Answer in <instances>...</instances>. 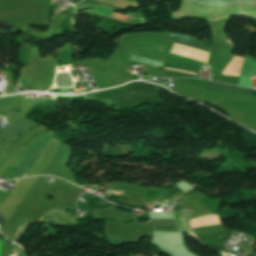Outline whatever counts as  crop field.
<instances>
[{
  "label": "crop field",
  "mask_w": 256,
  "mask_h": 256,
  "mask_svg": "<svg viewBox=\"0 0 256 256\" xmlns=\"http://www.w3.org/2000/svg\"><path fill=\"white\" fill-rule=\"evenodd\" d=\"M36 125L37 124L22 118L0 130V139L8 142H16L19 139V135Z\"/></svg>",
  "instance_id": "crop-field-1"
},
{
  "label": "crop field",
  "mask_w": 256,
  "mask_h": 256,
  "mask_svg": "<svg viewBox=\"0 0 256 256\" xmlns=\"http://www.w3.org/2000/svg\"><path fill=\"white\" fill-rule=\"evenodd\" d=\"M48 140L49 139L43 140L42 142L38 143L35 147H33L29 151V153L26 155V157L21 162V164L15 174V177L23 176L25 173H27L29 171V169L32 167V165L35 163V161L40 156V154Z\"/></svg>",
  "instance_id": "crop-field-2"
},
{
  "label": "crop field",
  "mask_w": 256,
  "mask_h": 256,
  "mask_svg": "<svg viewBox=\"0 0 256 256\" xmlns=\"http://www.w3.org/2000/svg\"><path fill=\"white\" fill-rule=\"evenodd\" d=\"M205 88L226 91V92H232V93L248 95V96H253V97L256 96V90L245 89V88H240V87L237 88L234 86H229V85H224V84H219V83L209 82V81L207 82V85Z\"/></svg>",
  "instance_id": "crop-field-3"
},
{
  "label": "crop field",
  "mask_w": 256,
  "mask_h": 256,
  "mask_svg": "<svg viewBox=\"0 0 256 256\" xmlns=\"http://www.w3.org/2000/svg\"><path fill=\"white\" fill-rule=\"evenodd\" d=\"M169 37L174 39L176 42L184 43V44H189L193 46H198L202 48L208 49L206 46L201 44L196 38L189 37V36H184V35H178V34H169Z\"/></svg>",
  "instance_id": "crop-field-4"
},
{
  "label": "crop field",
  "mask_w": 256,
  "mask_h": 256,
  "mask_svg": "<svg viewBox=\"0 0 256 256\" xmlns=\"http://www.w3.org/2000/svg\"><path fill=\"white\" fill-rule=\"evenodd\" d=\"M152 225L176 226L174 220L151 219ZM152 226L153 230L178 231L177 227Z\"/></svg>",
  "instance_id": "crop-field-5"
},
{
  "label": "crop field",
  "mask_w": 256,
  "mask_h": 256,
  "mask_svg": "<svg viewBox=\"0 0 256 256\" xmlns=\"http://www.w3.org/2000/svg\"><path fill=\"white\" fill-rule=\"evenodd\" d=\"M179 227H189L188 225V212L186 211H180L173 213Z\"/></svg>",
  "instance_id": "crop-field-6"
},
{
  "label": "crop field",
  "mask_w": 256,
  "mask_h": 256,
  "mask_svg": "<svg viewBox=\"0 0 256 256\" xmlns=\"http://www.w3.org/2000/svg\"><path fill=\"white\" fill-rule=\"evenodd\" d=\"M163 46L164 45H161V44H154V43L141 42V41H138V44H137V47H140V48L153 49V50H159V51L163 50Z\"/></svg>",
  "instance_id": "crop-field-7"
},
{
  "label": "crop field",
  "mask_w": 256,
  "mask_h": 256,
  "mask_svg": "<svg viewBox=\"0 0 256 256\" xmlns=\"http://www.w3.org/2000/svg\"><path fill=\"white\" fill-rule=\"evenodd\" d=\"M164 67L176 68V69H183V70H187V71H191V72L198 73V70H196V69H191V68H189V67L180 66V65H176V64L164 63ZM168 68H166V69H168ZM166 69H164V70H166ZM176 69H172V70H176ZM183 70H177V71H182V72H186V73H190V74L196 75L195 73H191V72H187V71H183Z\"/></svg>",
  "instance_id": "crop-field-8"
},
{
  "label": "crop field",
  "mask_w": 256,
  "mask_h": 256,
  "mask_svg": "<svg viewBox=\"0 0 256 256\" xmlns=\"http://www.w3.org/2000/svg\"><path fill=\"white\" fill-rule=\"evenodd\" d=\"M142 58H139V57L133 56V55H131V57H130L131 60H135V61H139V62H143V63H147V64H153V65L162 67V62H156V61L142 59Z\"/></svg>",
  "instance_id": "crop-field-9"
}]
</instances>
